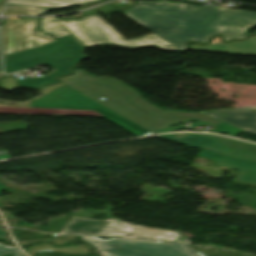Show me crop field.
Instances as JSON below:
<instances>
[{"label":"crop field","instance_id":"6","mask_svg":"<svg viewBox=\"0 0 256 256\" xmlns=\"http://www.w3.org/2000/svg\"><path fill=\"white\" fill-rule=\"evenodd\" d=\"M104 256H203L190 244L118 239L100 240L82 236Z\"/></svg>","mask_w":256,"mask_h":256},{"label":"crop field","instance_id":"25","mask_svg":"<svg viewBox=\"0 0 256 256\" xmlns=\"http://www.w3.org/2000/svg\"><path fill=\"white\" fill-rule=\"evenodd\" d=\"M1 77H3V74H2V72H0V78H1Z\"/></svg>","mask_w":256,"mask_h":256},{"label":"crop field","instance_id":"17","mask_svg":"<svg viewBox=\"0 0 256 256\" xmlns=\"http://www.w3.org/2000/svg\"><path fill=\"white\" fill-rule=\"evenodd\" d=\"M121 227L122 225L110 222L98 235L112 237Z\"/></svg>","mask_w":256,"mask_h":256},{"label":"crop field","instance_id":"21","mask_svg":"<svg viewBox=\"0 0 256 256\" xmlns=\"http://www.w3.org/2000/svg\"><path fill=\"white\" fill-rule=\"evenodd\" d=\"M5 237V230H3L1 227H0V238H4Z\"/></svg>","mask_w":256,"mask_h":256},{"label":"crop field","instance_id":"5","mask_svg":"<svg viewBox=\"0 0 256 256\" xmlns=\"http://www.w3.org/2000/svg\"><path fill=\"white\" fill-rule=\"evenodd\" d=\"M82 46L70 36L46 46L4 57L5 73L24 70L36 64L52 65L54 72L37 78L19 79V85L39 88L42 84L55 83V77L69 73L76 61L85 58L80 52Z\"/></svg>","mask_w":256,"mask_h":256},{"label":"crop field","instance_id":"24","mask_svg":"<svg viewBox=\"0 0 256 256\" xmlns=\"http://www.w3.org/2000/svg\"><path fill=\"white\" fill-rule=\"evenodd\" d=\"M5 3V0H0V4H4Z\"/></svg>","mask_w":256,"mask_h":256},{"label":"crop field","instance_id":"14","mask_svg":"<svg viewBox=\"0 0 256 256\" xmlns=\"http://www.w3.org/2000/svg\"><path fill=\"white\" fill-rule=\"evenodd\" d=\"M88 1L93 0H10L8 4L46 6L57 9Z\"/></svg>","mask_w":256,"mask_h":256},{"label":"crop field","instance_id":"18","mask_svg":"<svg viewBox=\"0 0 256 256\" xmlns=\"http://www.w3.org/2000/svg\"><path fill=\"white\" fill-rule=\"evenodd\" d=\"M12 252L14 256H24L18 249L15 247H6L3 245H0V256L4 253Z\"/></svg>","mask_w":256,"mask_h":256},{"label":"crop field","instance_id":"7","mask_svg":"<svg viewBox=\"0 0 256 256\" xmlns=\"http://www.w3.org/2000/svg\"><path fill=\"white\" fill-rule=\"evenodd\" d=\"M37 20L38 18L18 19V17H8L1 29L4 56L43 46L56 40L35 30Z\"/></svg>","mask_w":256,"mask_h":256},{"label":"crop field","instance_id":"10","mask_svg":"<svg viewBox=\"0 0 256 256\" xmlns=\"http://www.w3.org/2000/svg\"><path fill=\"white\" fill-rule=\"evenodd\" d=\"M115 222L124 226L113 237L188 243V238H177L179 234L175 232L129 225L119 221Z\"/></svg>","mask_w":256,"mask_h":256},{"label":"crop field","instance_id":"13","mask_svg":"<svg viewBox=\"0 0 256 256\" xmlns=\"http://www.w3.org/2000/svg\"><path fill=\"white\" fill-rule=\"evenodd\" d=\"M108 222L74 217L61 233L97 235Z\"/></svg>","mask_w":256,"mask_h":256},{"label":"crop field","instance_id":"22","mask_svg":"<svg viewBox=\"0 0 256 256\" xmlns=\"http://www.w3.org/2000/svg\"><path fill=\"white\" fill-rule=\"evenodd\" d=\"M4 188H5V186L2 185V184H0V193H1V191H2Z\"/></svg>","mask_w":256,"mask_h":256},{"label":"crop field","instance_id":"8","mask_svg":"<svg viewBox=\"0 0 256 256\" xmlns=\"http://www.w3.org/2000/svg\"><path fill=\"white\" fill-rule=\"evenodd\" d=\"M178 142L241 159L256 160V145L234 139L208 134H162L157 135Z\"/></svg>","mask_w":256,"mask_h":256},{"label":"crop field","instance_id":"2","mask_svg":"<svg viewBox=\"0 0 256 256\" xmlns=\"http://www.w3.org/2000/svg\"><path fill=\"white\" fill-rule=\"evenodd\" d=\"M58 79L150 131L179 124L189 118L221 123L199 113L161 111L144 102L138 92L114 79H99L78 70H74L72 76ZM101 97L106 100L102 101Z\"/></svg>","mask_w":256,"mask_h":256},{"label":"crop field","instance_id":"20","mask_svg":"<svg viewBox=\"0 0 256 256\" xmlns=\"http://www.w3.org/2000/svg\"><path fill=\"white\" fill-rule=\"evenodd\" d=\"M9 157L7 151H0V159L7 158Z\"/></svg>","mask_w":256,"mask_h":256},{"label":"crop field","instance_id":"4","mask_svg":"<svg viewBox=\"0 0 256 256\" xmlns=\"http://www.w3.org/2000/svg\"><path fill=\"white\" fill-rule=\"evenodd\" d=\"M38 29L55 38L72 35L85 47L111 43L124 47L154 45L168 50H178L156 34L126 41L98 15L63 21L54 17L41 18Z\"/></svg>","mask_w":256,"mask_h":256},{"label":"crop field","instance_id":"23","mask_svg":"<svg viewBox=\"0 0 256 256\" xmlns=\"http://www.w3.org/2000/svg\"><path fill=\"white\" fill-rule=\"evenodd\" d=\"M0 70H2V64H1V52H0Z\"/></svg>","mask_w":256,"mask_h":256},{"label":"crop field","instance_id":"15","mask_svg":"<svg viewBox=\"0 0 256 256\" xmlns=\"http://www.w3.org/2000/svg\"><path fill=\"white\" fill-rule=\"evenodd\" d=\"M47 8L6 6L3 15H38L43 14Z\"/></svg>","mask_w":256,"mask_h":256},{"label":"crop field","instance_id":"1","mask_svg":"<svg viewBox=\"0 0 256 256\" xmlns=\"http://www.w3.org/2000/svg\"><path fill=\"white\" fill-rule=\"evenodd\" d=\"M125 14L180 50L187 49V40L207 42L216 33L224 40L246 37L256 23V12L163 2L140 1Z\"/></svg>","mask_w":256,"mask_h":256},{"label":"crop field","instance_id":"11","mask_svg":"<svg viewBox=\"0 0 256 256\" xmlns=\"http://www.w3.org/2000/svg\"><path fill=\"white\" fill-rule=\"evenodd\" d=\"M198 156L214 159L216 160L217 165L241 169L235 181L256 185V162L237 160L204 150H202Z\"/></svg>","mask_w":256,"mask_h":256},{"label":"crop field","instance_id":"26","mask_svg":"<svg viewBox=\"0 0 256 256\" xmlns=\"http://www.w3.org/2000/svg\"><path fill=\"white\" fill-rule=\"evenodd\" d=\"M2 8H3V6H0V12H1Z\"/></svg>","mask_w":256,"mask_h":256},{"label":"crop field","instance_id":"9","mask_svg":"<svg viewBox=\"0 0 256 256\" xmlns=\"http://www.w3.org/2000/svg\"><path fill=\"white\" fill-rule=\"evenodd\" d=\"M199 113L256 134V107L226 108Z\"/></svg>","mask_w":256,"mask_h":256},{"label":"crop field","instance_id":"19","mask_svg":"<svg viewBox=\"0 0 256 256\" xmlns=\"http://www.w3.org/2000/svg\"><path fill=\"white\" fill-rule=\"evenodd\" d=\"M14 83H15L14 78H10L2 87H0V89L13 92L15 89L18 88L14 85Z\"/></svg>","mask_w":256,"mask_h":256},{"label":"crop field","instance_id":"16","mask_svg":"<svg viewBox=\"0 0 256 256\" xmlns=\"http://www.w3.org/2000/svg\"><path fill=\"white\" fill-rule=\"evenodd\" d=\"M197 248H204L207 251L204 256H254L242 252L225 251L221 247L209 245H195Z\"/></svg>","mask_w":256,"mask_h":256},{"label":"crop field","instance_id":"3","mask_svg":"<svg viewBox=\"0 0 256 256\" xmlns=\"http://www.w3.org/2000/svg\"><path fill=\"white\" fill-rule=\"evenodd\" d=\"M46 94L27 105H2L0 113L14 114H75L105 117L139 135L151 134L134 123L86 98L63 83L42 91Z\"/></svg>","mask_w":256,"mask_h":256},{"label":"crop field","instance_id":"12","mask_svg":"<svg viewBox=\"0 0 256 256\" xmlns=\"http://www.w3.org/2000/svg\"><path fill=\"white\" fill-rule=\"evenodd\" d=\"M192 50H212L226 53L256 55V36H253L244 41H235L229 44L220 43L219 39L215 38L214 41L208 46L193 45Z\"/></svg>","mask_w":256,"mask_h":256}]
</instances>
